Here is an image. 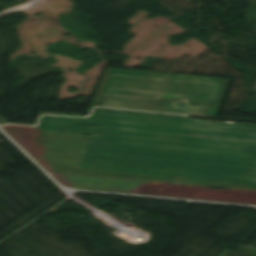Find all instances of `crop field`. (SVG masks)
<instances>
[{
    "instance_id": "obj_3",
    "label": "crop field",
    "mask_w": 256,
    "mask_h": 256,
    "mask_svg": "<svg viewBox=\"0 0 256 256\" xmlns=\"http://www.w3.org/2000/svg\"><path fill=\"white\" fill-rule=\"evenodd\" d=\"M37 132L44 143V158L49 164L79 167L86 135L43 130Z\"/></svg>"
},
{
    "instance_id": "obj_1",
    "label": "crop field",
    "mask_w": 256,
    "mask_h": 256,
    "mask_svg": "<svg viewBox=\"0 0 256 256\" xmlns=\"http://www.w3.org/2000/svg\"><path fill=\"white\" fill-rule=\"evenodd\" d=\"M34 128L105 135L88 136L80 168L54 172L256 190L255 126L96 109L88 119L44 116Z\"/></svg>"
},
{
    "instance_id": "obj_4",
    "label": "crop field",
    "mask_w": 256,
    "mask_h": 256,
    "mask_svg": "<svg viewBox=\"0 0 256 256\" xmlns=\"http://www.w3.org/2000/svg\"><path fill=\"white\" fill-rule=\"evenodd\" d=\"M2 129L23 149H25L36 161H38L63 186L132 193V191L120 190V189L73 186L69 184L61 176L54 173L50 165L43 158L44 146L36 130L33 127L9 125V126L2 127Z\"/></svg>"
},
{
    "instance_id": "obj_2",
    "label": "crop field",
    "mask_w": 256,
    "mask_h": 256,
    "mask_svg": "<svg viewBox=\"0 0 256 256\" xmlns=\"http://www.w3.org/2000/svg\"><path fill=\"white\" fill-rule=\"evenodd\" d=\"M227 81L109 70L92 105L214 116Z\"/></svg>"
},
{
    "instance_id": "obj_5",
    "label": "crop field",
    "mask_w": 256,
    "mask_h": 256,
    "mask_svg": "<svg viewBox=\"0 0 256 256\" xmlns=\"http://www.w3.org/2000/svg\"><path fill=\"white\" fill-rule=\"evenodd\" d=\"M59 175H61L69 183L73 185H87V186L110 187V188H121V189L133 190L146 183V182L106 179V178H96V177H86V176L78 177V176H72V175H66V174H59ZM78 178L80 180H77ZM82 182H85V184H82ZM87 182L88 184H86Z\"/></svg>"
}]
</instances>
